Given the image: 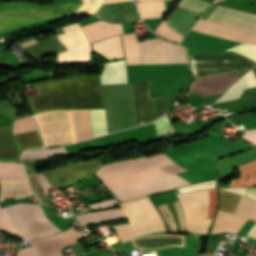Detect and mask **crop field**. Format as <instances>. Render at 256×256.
I'll use <instances>...</instances> for the list:
<instances>
[{"mask_svg":"<svg viewBox=\"0 0 256 256\" xmlns=\"http://www.w3.org/2000/svg\"><path fill=\"white\" fill-rule=\"evenodd\" d=\"M42 95L28 97L34 113L55 109L104 108L99 75L33 85Z\"/></svg>","mask_w":256,"mask_h":256,"instance_id":"8a807250","label":"crop field"},{"mask_svg":"<svg viewBox=\"0 0 256 256\" xmlns=\"http://www.w3.org/2000/svg\"><path fill=\"white\" fill-rule=\"evenodd\" d=\"M126 64L186 63L184 50L180 46L167 44L159 39L138 42L133 34H122ZM93 50L109 60L124 57L119 35L93 43Z\"/></svg>","mask_w":256,"mask_h":256,"instance_id":"ac0d7876","label":"crop field"},{"mask_svg":"<svg viewBox=\"0 0 256 256\" xmlns=\"http://www.w3.org/2000/svg\"><path fill=\"white\" fill-rule=\"evenodd\" d=\"M121 208L96 211L76 216L83 226L126 216L129 224L113 226L121 242L158 231H166L159 213L148 197L122 202Z\"/></svg>","mask_w":256,"mask_h":256,"instance_id":"34b2d1b8","label":"crop field"},{"mask_svg":"<svg viewBox=\"0 0 256 256\" xmlns=\"http://www.w3.org/2000/svg\"><path fill=\"white\" fill-rule=\"evenodd\" d=\"M176 165L165 154L105 165L96 173L107 188H114L168 175L160 170Z\"/></svg>","mask_w":256,"mask_h":256,"instance_id":"412701ff","label":"crop field"},{"mask_svg":"<svg viewBox=\"0 0 256 256\" xmlns=\"http://www.w3.org/2000/svg\"><path fill=\"white\" fill-rule=\"evenodd\" d=\"M53 225L45 217L39 204H20L0 208V229L12 232L28 241L60 232Z\"/></svg>","mask_w":256,"mask_h":256,"instance_id":"f4fd0767","label":"crop field"},{"mask_svg":"<svg viewBox=\"0 0 256 256\" xmlns=\"http://www.w3.org/2000/svg\"><path fill=\"white\" fill-rule=\"evenodd\" d=\"M79 4L34 5L23 2H0V33L38 20L71 14Z\"/></svg>","mask_w":256,"mask_h":256,"instance_id":"dd49c442","label":"crop field"},{"mask_svg":"<svg viewBox=\"0 0 256 256\" xmlns=\"http://www.w3.org/2000/svg\"><path fill=\"white\" fill-rule=\"evenodd\" d=\"M185 217V232L207 233L212 220L206 219L208 210L207 190L190 194H176Z\"/></svg>","mask_w":256,"mask_h":256,"instance_id":"e52e79f7","label":"crop field"},{"mask_svg":"<svg viewBox=\"0 0 256 256\" xmlns=\"http://www.w3.org/2000/svg\"><path fill=\"white\" fill-rule=\"evenodd\" d=\"M189 184L185 179L173 174L166 177L140 182L128 186L111 189L115 197L119 200H128L157 191L176 188Z\"/></svg>","mask_w":256,"mask_h":256,"instance_id":"d8731c3e","label":"crop field"},{"mask_svg":"<svg viewBox=\"0 0 256 256\" xmlns=\"http://www.w3.org/2000/svg\"><path fill=\"white\" fill-rule=\"evenodd\" d=\"M247 219L256 222V202L241 196L234 214L218 212L212 233H237Z\"/></svg>","mask_w":256,"mask_h":256,"instance_id":"5a996713","label":"crop field"},{"mask_svg":"<svg viewBox=\"0 0 256 256\" xmlns=\"http://www.w3.org/2000/svg\"><path fill=\"white\" fill-rule=\"evenodd\" d=\"M205 20L256 32V15L219 5L211 11Z\"/></svg>","mask_w":256,"mask_h":256,"instance_id":"3316defc","label":"crop field"},{"mask_svg":"<svg viewBox=\"0 0 256 256\" xmlns=\"http://www.w3.org/2000/svg\"><path fill=\"white\" fill-rule=\"evenodd\" d=\"M78 231L72 227L66 231L53 236L32 241L41 256H62L60 249L84 238Z\"/></svg>","mask_w":256,"mask_h":256,"instance_id":"28ad6ade","label":"crop field"},{"mask_svg":"<svg viewBox=\"0 0 256 256\" xmlns=\"http://www.w3.org/2000/svg\"><path fill=\"white\" fill-rule=\"evenodd\" d=\"M135 5L134 1L101 5L94 17L111 22L138 21Z\"/></svg>","mask_w":256,"mask_h":256,"instance_id":"d1516ede","label":"crop field"},{"mask_svg":"<svg viewBox=\"0 0 256 256\" xmlns=\"http://www.w3.org/2000/svg\"><path fill=\"white\" fill-rule=\"evenodd\" d=\"M237 78L229 73L202 77L197 79L195 84L193 83L190 91L203 96L221 93Z\"/></svg>","mask_w":256,"mask_h":256,"instance_id":"22f410ed","label":"crop field"},{"mask_svg":"<svg viewBox=\"0 0 256 256\" xmlns=\"http://www.w3.org/2000/svg\"><path fill=\"white\" fill-rule=\"evenodd\" d=\"M12 124L0 125V159L20 160V149L12 135Z\"/></svg>","mask_w":256,"mask_h":256,"instance_id":"cbeb9de0","label":"crop field"},{"mask_svg":"<svg viewBox=\"0 0 256 256\" xmlns=\"http://www.w3.org/2000/svg\"><path fill=\"white\" fill-rule=\"evenodd\" d=\"M81 28L89 42L106 36L123 33L121 24H111L102 20L82 26Z\"/></svg>","mask_w":256,"mask_h":256,"instance_id":"5142ce71","label":"crop field"},{"mask_svg":"<svg viewBox=\"0 0 256 256\" xmlns=\"http://www.w3.org/2000/svg\"><path fill=\"white\" fill-rule=\"evenodd\" d=\"M198 14L177 7L167 18V25L180 34H184L195 22Z\"/></svg>","mask_w":256,"mask_h":256,"instance_id":"d9b57169","label":"crop field"},{"mask_svg":"<svg viewBox=\"0 0 256 256\" xmlns=\"http://www.w3.org/2000/svg\"><path fill=\"white\" fill-rule=\"evenodd\" d=\"M104 71L101 74L102 84L127 83L124 59L116 62L104 63Z\"/></svg>","mask_w":256,"mask_h":256,"instance_id":"733c2abd","label":"crop field"},{"mask_svg":"<svg viewBox=\"0 0 256 256\" xmlns=\"http://www.w3.org/2000/svg\"><path fill=\"white\" fill-rule=\"evenodd\" d=\"M255 86H256V76L253 70L251 69L247 73L243 74L239 80L233 83L225 91V93L221 97H219L216 101L239 98L240 94L244 89L255 87Z\"/></svg>","mask_w":256,"mask_h":256,"instance_id":"4a817a6b","label":"crop field"},{"mask_svg":"<svg viewBox=\"0 0 256 256\" xmlns=\"http://www.w3.org/2000/svg\"><path fill=\"white\" fill-rule=\"evenodd\" d=\"M235 169H237L241 175L244 173H247L251 170L256 169V160L249 162L247 164H244L242 166H239ZM246 185H256V170L251 171L247 174H244L240 176V178L238 179H232L230 187L246 186Z\"/></svg>","mask_w":256,"mask_h":256,"instance_id":"bc2a9ffb","label":"crop field"},{"mask_svg":"<svg viewBox=\"0 0 256 256\" xmlns=\"http://www.w3.org/2000/svg\"><path fill=\"white\" fill-rule=\"evenodd\" d=\"M141 18L160 17L165 11L164 1L137 2Z\"/></svg>","mask_w":256,"mask_h":256,"instance_id":"214f88e0","label":"crop field"},{"mask_svg":"<svg viewBox=\"0 0 256 256\" xmlns=\"http://www.w3.org/2000/svg\"><path fill=\"white\" fill-rule=\"evenodd\" d=\"M26 178L21 164L0 162V180Z\"/></svg>","mask_w":256,"mask_h":256,"instance_id":"92a150f3","label":"crop field"},{"mask_svg":"<svg viewBox=\"0 0 256 256\" xmlns=\"http://www.w3.org/2000/svg\"><path fill=\"white\" fill-rule=\"evenodd\" d=\"M67 155L64 147L53 149H41L26 151L22 155L23 160L37 159V158H55L57 156Z\"/></svg>","mask_w":256,"mask_h":256,"instance_id":"dafd665d","label":"crop field"},{"mask_svg":"<svg viewBox=\"0 0 256 256\" xmlns=\"http://www.w3.org/2000/svg\"><path fill=\"white\" fill-rule=\"evenodd\" d=\"M93 137L106 134L104 109L90 110Z\"/></svg>","mask_w":256,"mask_h":256,"instance_id":"00972430","label":"crop field"},{"mask_svg":"<svg viewBox=\"0 0 256 256\" xmlns=\"http://www.w3.org/2000/svg\"><path fill=\"white\" fill-rule=\"evenodd\" d=\"M15 137L18 140L22 151L31 147L42 146L37 131L23 133V134H16Z\"/></svg>","mask_w":256,"mask_h":256,"instance_id":"a9b5d70f","label":"crop field"},{"mask_svg":"<svg viewBox=\"0 0 256 256\" xmlns=\"http://www.w3.org/2000/svg\"><path fill=\"white\" fill-rule=\"evenodd\" d=\"M155 128L159 139L176 136V132L170 124L167 116L162 117L158 121L154 122Z\"/></svg>","mask_w":256,"mask_h":256,"instance_id":"4177f3b9","label":"crop field"},{"mask_svg":"<svg viewBox=\"0 0 256 256\" xmlns=\"http://www.w3.org/2000/svg\"><path fill=\"white\" fill-rule=\"evenodd\" d=\"M37 130L31 116L14 121L13 134Z\"/></svg>","mask_w":256,"mask_h":256,"instance_id":"730fd06b","label":"crop field"},{"mask_svg":"<svg viewBox=\"0 0 256 256\" xmlns=\"http://www.w3.org/2000/svg\"><path fill=\"white\" fill-rule=\"evenodd\" d=\"M156 33H158L160 36L174 41L179 42L182 39V35L174 32L172 29H170L166 24L165 21H162L161 24L156 28Z\"/></svg>","mask_w":256,"mask_h":256,"instance_id":"eef30255","label":"crop field"},{"mask_svg":"<svg viewBox=\"0 0 256 256\" xmlns=\"http://www.w3.org/2000/svg\"><path fill=\"white\" fill-rule=\"evenodd\" d=\"M240 53L254 61H256V45L255 44H239L235 47L226 49Z\"/></svg>","mask_w":256,"mask_h":256,"instance_id":"ae1a2a85","label":"crop field"},{"mask_svg":"<svg viewBox=\"0 0 256 256\" xmlns=\"http://www.w3.org/2000/svg\"><path fill=\"white\" fill-rule=\"evenodd\" d=\"M208 5L209 3L201 0H182L179 4V6L189 9L198 14H200Z\"/></svg>","mask_w":256,"mask_h":256,"instance_id":"d3111659","label":"crop field"},{"mask_svg":"<svg viewBox=\"0 0 256 256\" xmlns=\"http://www.w3.org/2000/svg\"><path fill=\"white\" fill-rule=\"evenodd\" d=\"M209 193V210L207 218L212 219L217 206V189L208 190Z\"/></svg>","mask_w":256,"mask_h":256,"instance_id":"750c4746","label":"crop field"},{"mask_svg":"<svg viewBox=\"0 0 256 256\" xmlns=\"http://www.w3.org/2000/svg\"><path fill=\"white\" fill-rule=\"evenodd\" d=\"M16 256H37L33 247H25L18 250Z\"/></svg>","mask_w":256,"mask_h":256,"instance_id":"bd1437ed","label":"crop field"},{"mask_svg":"<svg viewBox=\"0 0 256 256\" xmlns=\"http://www.w3.org/2000/svg\"><path fill=\"white\" fill-rule=\"evenodd\" d=\"M29 177H30V180H31V183H32L33 188H34V189L37 188V191H38L39 195L44 194V193H43V190H42L40 184L38 183L37 179L35 178L34 174H29ZM34 191H35L36 194L38 195L36 189H35Z\"/></svg>","mask_w":256,"mask_h":256,"instance_id":"1d83c4d3","label":"crop field"},{"mask_svg":"<svg viewBox=\"0 0 256 256\" xmlns=\"http://www.w3.org/2000/svg\"><path fill=\"white\" fill-rule=\"evenodd\" d=\"M244 139L256 144V130H249L243 136Z\"/></svg>","mask_w":256,"mask_h":256,"instance_id":"120bbe31","label":"crop field"},{"mask_svg":"<svg viewBox=\"0 0 256 256\" xmlns=\"http://www.w3.org/2000/svg\"><path fill=\"white\" fill-rule=\"evenodd\" d=\"M115 203H117V201L115 199H110L105 202H100V203H95V204L89 205V207L90 208H99V207L114 205Z\"/></svg>","mask_w":256,"mask_h":256,"instance_id":"d32e631a","label":"crop field"},{"mask_svg":"<svg viewBox=\"0 0 256 256\" xmlns=\"http://www.w3.org/2000/svg\"><path fill=\"white\" fill-rule=\"evenodd\" d=\"M245 197L256 201V188H246Z\"/></svg>","mask_w":256,"mask_h":256,"instance_id":"5866460e","label":"crop field"},{"mask_svg":"<svg viewBox=\"0 0 256 256\" xmlns=\"http://www.w3.org/2000/svg\"><path fill=\"white\" fill-rule=\"evenodd\" d=\"M246 236H250V237L256 238V223L247 232Z\"/></svg>","mask_w":256,"mask_h":256,"instance_id":"028f5c9d","label":"crop field"},{"mask_svg":"<svg viewBox=\"0 0 256 256\" xmlns=\"http://www.w3.org/2000/svg\"><path fill=\"white\" fill-rule=\"evenodd\" d=\"M118 1H128V0H105V1L103 2V4H104V3H109V2H118Z\"/></svg>","mask_w":256,"mask_h":256,"instance_id":"e1f06a70","label":"crop field"},{"mask_svg":"<svg viewBox=\"0 0 256 256\" xmlns=\"http://www.w3.org/2000/svg\"><path fill=\"white\" fill-rule=\"evenodd\" d=\"M137 1H143V0H137Z\"/></svg>","mask_w":256,"mask_h":256,"instance_id":"0bd39190","label":"crop field"}]
</instances>
